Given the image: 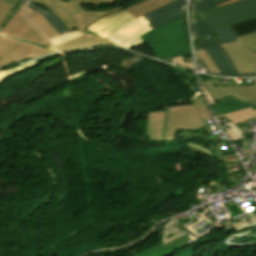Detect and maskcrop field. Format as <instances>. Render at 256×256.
Returning a JSON list of instances; mask_svg holds the SVG:
<instances>
[{
	"label": "crop field",
	"instance_id": "24",
	"mask_svg": "<svg viewBox=\"0 0 256 256\" xmlns=\"http://www.w3.org/2000/svg\"><path fill=\"white\" fill-rule=\"evenodd\" d=\"M197 62L203 61L206 67L209 69L210 72L219 73L218 69L216 68L215 64L206 53L205 50L195 52Z\"/></svg>",
	"mask_w": 256,
	"mask_h": 256
},
{
	"label": "crop field",
	"instance_id": "5",
	"mask_svg": "<svg viewBox=\"0 0 256 256\" xmlns=\"http://www.w3.org/2000/svg\"><path fill=\"white\" fill-rule=\"evenodd\" d=\"M232 59L238 73L256 72V33L238 37V40L222 45Z\"/></svg>",
	"mask_w": 256,
	"mask_h": 256
},
{
	"label": "crop field",
	"instance_id": "3",
	"mask_svg": "<svg viewBox=\"0 0 256 256\" xmlns=\"http://www.w3.org/2000/svg\"><path fill=\"white\" fill-rule=\"evenodd\" d=\"M152 48L154 55L173 58L191 53L184 18L140 36Z\"/></svg>",
	"mask_w": 256,
	"mask_h": 256
},
{
	"label": "crop field",
	"instance_id": "7",
	"mask_svg": "<svg viewBox=\"0 0 256 256\" xmlns=\"http://www.w3.org/2000/svg\"><path fill=\"white\" fill-rule=\"evenodd\" d=\"M185 0H177L142 17L149 21V26L154 29L184 17L183 5Z\"/></svg>",
	"mask_w": 256,
	"mask_h": 256
},
{
	"label": "crop field",
	"instance_id": "21",
	"mask_svg": "<svg viewBox=\"0 0 256 256\" xmlns=\"http://www.w3.org/2000/svg\"><path fill=\"white\" fill-rule=\"evenodd\" d=\"M236 37L256 32V19L231 25Z\"/></svg>",
	"mask_w": 256,
	"mask_h": 256
},
{
	"label": "crop field",
	"instance_id": "39",
	"mask_svg": "<svg viewBox=\"0 0 256 256\" xmlns=\"http://www.w3.org/2000/svg\"><path fill=\"white\" fill-rule=\"evenodd\" d=\"M184 237H186V235H184V236H182V237H180V238H178V239H176V240H174V241H172V242H170V243H168V244H166L164 246L166 247V246H168V245H170V244H172V243H174V242H176V241H178V240H180V239H182Z\"/></svg>",
	"mask_w": 256,
	"mask_h": 256
},
{
	"label": "crop field",
	"instance_id": "19",
	"mask_svg": "<svg viewBox=\"0 0 256 256\" xmlns=\"http://www.w3.org/2000/svg\"><path fill=\"white\" fill-rule=\"evenodd\" d=\"M223 116L227 117L229 120H231L235 124H239L241 122L256 119V111H253L252 108H249V109L229 113L226 115L218 116L217 118L223 117Z\"/></svg>",
	"mask_w": 256,
	"mask_h": 256
},
{
	"label": "crop field",
	"instance_id": "17",
	"mask_svg": "<svg viewBox=\"0 0 256 256\" xmlns=\"http://www.w3.org/2000/svg\"><path fill=\"white\" fill-rule=\"evenodd\" d=\"M28 8L38 11L44 16V18L57 30L61 35L68 32L66 27L63 26L62 22L54 16L50 11L30 1Z\"/></svg>",
	"mask_w": 256,
	"mask_h": 256
},
{
	"label": "crop field",
	"instance_id": "37",
	"mask_svg": "<svg viewBox=\"0 0 256 256\" xmlns=\"http://www.w3.org/2000/svg\"><path fill=\"white\" fill-rule=\"evenodd\" d=\"M140 40H142L140 37L139 38H137L136 40H134L132 43H130L129 45H127L126 47H124V48H130L131 46H133L134 44H136L137 42H139Z\"/></svg>",
	"mask_w": 256,
	"mask_h": 256
},
{
	"label": "crop field",
	"instance_id": "29",
	"mask_svg": "<svg viewBox=\"0 0 256 256\" xmlns=\"http://www.w3.org/2000/svg\"><path fill=\"white\" fill-rule=\"evenodd\" d=\"M194 104L196 105L198 111L200 112L203 120H209L212 119L210 113L208 112L206 106L204 105L203 101L198 98V96H195L193 99Z\"/></svg>",
	"mask_w": 256,
	"mask_h": 256
},
{
	"label": "crop field",
	"instance_id": "13",
	"mask_svg": "<svg viewBox=\"0 0 256 256\" xmlns=\"http://www.w3.org/2000/svg\"><path fill=\"white\" fill-rule=\"evenodd\" d=\"M165 111L149 112L146 139L162 141Z\"/></svg>",
	"mask_w": 256,
	"mask_h": 256
},
{
	"label": "crop field",
	"instance_id": "22",
	"mask_svg": "<svg viewBox=\"0 0 256 256\" xmlns=\"http://www.w3.org/2000/svg\"><path fill=\"white\" fill-rule=\"evenodd\" d=\"M195 38L214 34V30L210 26L206 17L194 20Z\"/></svg>",
	"mask_w": 256,
	"mask_h": 256
},
{
	"label": "crop field",
	"instance_id": "36",
	"mask_svg": "<svg viewBox=\"0 0 256 256\" xmlns=\"http://www.w3.org/2000/svg\"><path fill=\"white\" fill-rule=\"evenodd\" d=\"M223 126H224L226 132L228 133V135H229L231 141L238 140V139L235 137V135L228 129V127H227L225 124H223Z\"/></svg>",
	"mask_w": 256,
	"mask_h": 256
},
{
	"label": "crop field",
	"instance_id": "38",
	"mask_svg": "<svg viewBox=\"0 0 256 256\" xmlns=\"http://www.w3.org/2000/svg\"><path fill=\"white\" fill-rule=\"evenodd\" d=\"M167 114H168V108H166V120H167ZM166 120H165V129H164V137H163V141H164V139H165Z\"/></svg>",
	"mask_w": 256,
	"mask_h": 256
},
{
	"label": "crop field",
	"instance_id": "42",
	"mask_svg": "<svg viewBox=\"0 0 256 256\" xmlns=\"http://www.w3.org/2000/svg\"><path fill=\"white\" fill-rule=\"evenodd\" d=\"M177 226H178V228H179V227H181V226H183V225H182L181 222H180V223L177 224Z\"/></svg>",
	"mask_w": 256,
	"mask_h": 256
},
{
	"label": "crop field",
	"instance_id": "40",
	"mask_svg": "<svg viewBox=\"0 0 256 256\" xmlns=\"http://www.w3.org/2000/svg\"><path fill=\"white\" fill-rule=\"evenodd\" d=\"M142 43H144V41H143V40H142V41H140L139 43H137L136 45H134L133 47H131V48H130V50H131V49H133L134 47H136V46H138V45L142 44Z\"/></svg>",
	"mask_w": 256,
	"mask_h": 256
},
{
	"label": "crop field",
	"instance_id": "23",
	"mask_svg": "<svg viewBox=\"0 0 256 256\" xmlns=\"http://www.w3.org/2000/svg\"><path fill=\"white\" fill-rule=\"evenodd\" d=\"M38 62L35 60L33 62H29V63H25V64H21L18 66H14L8 69H4L0 71V83L3 82L2 80L5 78H8L12 75H15L19 72H22L26 69H30V68H34L36 66H38Z\"/></svg>",
	"mask_w": 256,
	"mask_h": 256
},
{
	"label": "crop field",
	"instance_id": "32",
	"mask_svg": "<svg viewBox=\"0 0 256 256\" xmlns=\"http://www.w3.org/2000/svg\"><path fill=\"white\" fill-rule=\"evenodd\" d=\"M230 130L237 136L238 139L244 138L240 133H243L235 124L232 122L226 123Z\"/></svg>",
	"mask_w": 256,
	"mask_h": 256
},
{
	"label": "crop field",
	"instance_id": "26",
	"mask_svg": "<svg viewBox=\"0 0 256 256\" xmlns=\"http://www.w3.org/2000/svg\"><path fill=\"white\" fill-rule=\"evenodd\" d=\"M19 2V0H12L10 3L7 1L0 0V25L6 19L10 11ZM0 27V31H1Z\"/></svg>",
	"mask_w": 256,
	"mask_h": 256
},
{
	"label": "crop field",
	"instance_id": "8",
	"mask_svg": "<svg viewBox=\"0 0 256 256\" xmlns=\"http://www.w3.org/2000/svg\"><path fill=\"white\" fill-rule=\"evenodd\" d=\"M133 19L135 18L123 10L101 19L90 26L87 30L106 39Z\"/></svg>",
	"mask_w": 256,
	"mask_h": 256
},
{
	"label": "crop field",
	"instance_id": "35",
	"mask_svg": "<svg viewBox=\"0 0 256 256\" xmlns=\"http://www.w3.org/2000/svg\"><path fill=\"white\" fill-rule=\"evenodd\" d=\"M199 75V74H198ZM199 79H200V77H199ZM200 84H201V86H202V88H203V91H204V93H205V95H206V98L208 99V102L210 103V105H213V104H217V102L215 101V99L208 93V91L205 89V87L202 85V81H201V79H200Z\"/></svg>",
	"mask_w": 256,
	"mask_h": 256
},
{
	"label": "crop field",
	"instance_id": "25",
	"mask_svg": "<svg viewBox=\"0 0 256 256\" xmlns=\"http://www.w3.org/2000/svg\"><path fill=\"white\" fill-rule=\"evenodd\" d=\"M230 0H194V13Z\"/></svg>",
	"mask_w": 256,
	"mask_h": 256
},
{
	"label": "crop field",
	"instance_id": "11",
	"mask_svg": "<svg viewBox=\"0 0 256 256\" xmlns=\"http://www.w3.org/2000/svg\"><path fill=\"white\" fill-rule=\"evenodd\" d=\"M207 53L210 55L221 74H215L220 76H234V77H249L256 76V73L250 74H238L231 59L225 53L221 45L207 49ZM212 74V73H210Z\"/></svg>",
	"mask_w": 256,
	"mask_h": 256
},
{
	"label": "crop field",
	"instance_id": "16",
	"mask_svg": "<svg viewBox=\"0 0 256 256\" xmlns=\"http://www.w3.org/2000/svg\"><path fill=\"white\" fill-rule=\"evenodd\" d=\"M27 14L30 19L48 36L49 39L60 36L39 13L27 8Z\"/></svg>",
	"mask_w": 256,
	"mask_h": 256
},
{
	"label": "crop field",
	"instance_id": "2",
	"mask_svg": "<svg viewBox=\"0 0 256 256\" xmlns=\"http://www.w3.org/2000/svg\"><path fill=\"white\" fill-rule=\"evenodd\" d=\"M56 15L70 31L77 29L89 33L85 29L107 15L123 10L117 8L104 11H88L81 7V3L104 5L114 0H32ZM67 4V6H65ZM66 28V29H67Z\"/></svg>",
	"mask_w": 256,
	"mask_h": 256
},
{
	"label": "crop field",
	"instance_id": "14",
	"mask_svg": "<svg viewBox=\"0 0 256 256\" xmlns=\"http://www.w3.org/2000/svg\"><path fill=\"white\" fill-rule=\"evenodd\" d=\"M217 102L219 104L211 106L217 116L249 107H252L253 110L256 109V107L250 106V103H242L230 95L217 100Z\"/></svg>",
	"mask_w": 256,
	"mask_h": 256
},
{
	"label": "crop field",
	"instance_id": "15",
	"mask_svg": "<svg viewBox=\"0 0 256 256\" xmlns=\"http://www.w3.org/2000/svg\"><path fill=\"white\" fill-rule=\"evenodd\" d=\"M172 1L175 0H146L144 2H141L135 6H131L126 9L132 16L135 18L141 16L142 14L155 10L159 7H162Z\"/></svg>",
	"mask_w": 256,
	"mask_h": 256
},
{
	"label": "crop field",
	"instance_id": "28",
	"mask_svg": "<svg viewBox=\"0 0 256 256\" xmlns=\"http://www.w3.org/2000/svg\"><path fill=\"white\" fill-rule=\"evenodd\" d=\"M252 218L248 219V221L246 222L245 220L240 222V223H236L233 224V227L236 231H241V230H245L251 227L256 226V216L250 212L248 213Z\"/></svg>",
	"mask_w": 256,
	"mask_h": 256
},
{
	"label": "crop field",
	"instance_id": "4",
	"mask_svg": "<svg viewBox=\"0 0 256 256\" xmlns=\"http://www.w3.org/2000/svg\"><path fill=\"white\" fill-rule=\"evenodd\" d=\"M202 13L225 44L236 40L229 25L256 18V0H240L219 8L215 6Z\"/></svg>",
	"mask_w": 256,
	"mask_h": 256
},
{
	"label": "crop field",
	"instance_id": "33",
	"mask_svg": "<svg viewBox=\"0 0 256 256\" xmlns=\"http://www.w3.org/2000/svg\"><path fill=\"white\" fill-rule=\"evenodd\" d=\"M226 208L231 212L230 217L244 213L235 203Z\"/></svg>",
	"mask_w": 256,
	"mask_h": 256
},
{
	"label": "crop field",
	"instance_id": "43",
	"mask_svg": "<svg viewBox=\"0 0 256 256\" xmlns=\"http://www.w3.org/2000/svg\"><path fill=\"white\" fill-rule=\"evenodd\" d=\"M254 52H256V50Z\"/></svg>",
	"mask_w": 256,
	"mask_h": 256
},
{
	"label": "crop field",
	"instance_id": "27",
	"mask_svg": "<svg viewBox=\"0 0 256 256\" xmlns=\"http://www.w3.org/2000/svg\"><path fill=\"white\" fill-rule=\"evenodd\" d=\"M154 58L161 59V60L167 61V62L172 63V64L179 65V66L187 68V69L194 70L193 62H186L185 55L180 56V57H176V58H173V59H165V58H159V57H154Z\"/></svg>",
	"mask_w": 256,
	"mask_h": 256
},
{
	"label": "crop field",
	"instance_id": "10",
	"mask_svg": "<svg viewBox=\"0 0 256 256\" xmlns=\"http://www.w3.org/2000/svg\"><path fill=\"white\" fill-rule=\"evenodd\" d=\"M147 22L142 17H139L128 25L117 31L115 34L110 36L107 40H110L122 47L129 44L131 41L139 37L140 35L148 32L151 28L147 25Z\"/></svg>",
	"mask_w": 256,
	"mask_h": 256
},
{
	"label": "crop field",
	"instance_id": "6",
	"mask_svg": "<svg viewBox=\"0 0 256 256\" xmlns=\"http://www.w3.org/2000/svg\"><path fill=\"white\" fill-rule=\"evenodd\" d=\"M205 124L194 104L169 108L166 140H176L177 130H196Z\"/></svg>",
	"mask_w": 256,
	"mask_h": 256
},
{
	"label": "crop field",
	"instance_id": "31",
	"mask_svg": "<svg viewBox=\"0 0 256 256\" xmlns=\"http://www.w3.org/2000/svg\"><path fill=\"white\" fill-rule=\"evenodd\" d=\"M219 44H222L220 39L212 41V42H209V43H205V44H201V45H196V46H194V49H195V51H198V50H202V49H207V48L215 47V46H217Z\"/></svg>",
	"mask_w": 256,
	"mask_h": 256
},
{
	"label": "crop field",
	"instance_id": "30",
	"mask_svg": "<svg viewBox=\"0 0 256 256\" xmlns=\"http://www.w3.org/2000/svg\"><path fill=\"white\" fill-rule=\"evenodd\" d=\"M82 34H84V33L75 30V31H73V32H71V33H67V34H65V35H63V36H60V37H58V38L51 39L50 41H51L54 45H57V44H60V43H62V42H64V41H66V40L76 38V37H78V36H80V35H82Z\"/></svg>",
	"mask_w": 256,
	"mask_h": 256
},
{
	"label": "crop field",
	"instance_id": "9",
	"mask_svg": "<svg viewBox=\"0 0 256 256\" xmlns=\"http://www.w3.org/2000/svg\"><path fill=\"white\" fill-rule=\"evenodd\" d=\"M252 79L255 86L214 88L211 81L204 82L203 84L216 100L230 94L240 101L251 102L256 100V77Z\"/></svg>",
	"mask_w": 256,
	"mask_h": 256
},
{
	"label": "crop field",
	"instance_id": "18",
	"mask_svg": "<svg viewBox=\"0 0 256 256\" xmlns=\"http://www.w3.org/2000/svg\"><path fill=\"white\" fill-rule=\"evenodd\" d=\"M189 240H191V239L187 237V238H185L167 248H165L162 244L157 245L151 249H148V250H146L138 255H134V256H169V255L175 253V251L173 249L175 246L185 243Z\"/></svg>",
	"mask_w": 256,
	"mask_h": 256
},
{
	"label": "crop field",
	"instance_id": "41",
	"mask_svg": "<svg viewBox=\"0 0 256 256\" xmlns=\"http://www.w3.org/2000/svg\"><path fill=\"white\" fill-rule=\"evenodd\" d=\"M234 1H237V0H233V1H230V2H227V3H224V4H221V5H218V7H219V6H222V5H226V4L232 3V2H234Z\"/></svg>",
	"mask_w": 256,
	"mask_h": 256
},
{
	"label": "crop field",
	"instance_id": "34",
	"mask_svg": "<svg viewBox=\"0 0 256 256\" xmlns=\"http://www.w3.org/2000/svg\"><path fill=\"white\" fill-rule=\"evenodd\" d=\"M255 231H256V229H255V230H252V231H250V232L238 233V234L230 235V236H227V237L243 239V238H245V237L251 235V234L254 233ZM227 237H224V238H221V239L223 240V239H225V238H227Z\"/></svg>",
	"mask_w": 256,
	"mask_h": 256
},
{
	"label": "crop field",
	"instance_id": "1",
	"mask_svg": "<svg viewBox=\"0 0 256 256\" xmlns=\"http://www.w3.org/2000/svg\"><path fill=\"white\" fill-rule=\"evenodd\" d=\"M26 4L27 1L0 33V67L56 51L26 16Z\"/></svg>",
	"mask_w": 256,
	"mask_h": 256
},
{
	"label": "crop field",
	"instance_id": "20",
	"mask_svg": "<svg viewBox=\"0 0 256 256\" xmlns=\"http://www.w3.org/2000/svg\"><path fill=\"white\" fill-rule=\"evenodd\" d=\"M177 222H179L178 219L173 218L165 224L163 244H166V243L184 235L183 232H181L180 230L177 229V226H176Z\"/></svg>",
	"mask_w": 256,
	"mask_h": 256
},
{
	"label": "crop field",
	"instance_id": "12",
	"mask_svg": "<svg viewBox=\"0 0 256 256\" xmlns=\"http://www.w3.org/2000/svg\"><path fill=\"white\" fill-rule=\"evenodd\" d=\"M103 45H115L114 43L107 41L99 36L92 33L85 34L76 39L66 41L56 48L60 51L76 50L90 47H98Z\"/></svg>",
	"mask_w": 256,
	"mask_h": 256
}]
</instances>
